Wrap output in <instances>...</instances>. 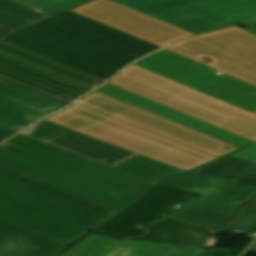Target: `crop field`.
<instances>
[{"mask_svg":"<svg viewBox=\"0 0 256 256\" xmlns=\"http://www.w3.org/2000/svg\"><path fill=\"white\" fill-rule=\"evenodd\" d=\"M118 77L256 134V116L134 65Z\"/></svg>","mask_w":256,"mask_h":256,"instance_id":"obj_10","label":"crop field"},{"mask_svg":"<svg viewBox=\"0 0 256 256\" xmlns=\"http://www.w3.org/2000/svg\"><path fill=\"white\" fill-rule=\"evenodd\" d=\"M250 252H256V246Z\"/></svg>","mask_w":256,"mask_h":256,"instance_id":"obj_37","label":"crop field"},{"mask_svg":"<svg viewBox=\"0 0 256 256\" xmlns=\"http://www.w3.org/2000/svg\"><path fill=\"white\" fill-rule=\"evenodd\" d=\"M200 195L203 194L158 185L94 232L116 239L144 235L146 231L138 230L137 226L162 220L166 214L170 213L169 207L173 204L189 201Z\"/></svg>","mask_w":256,"mask_h":256,"instance_id":"obj_11","label":"crop field"},{"mask_svg":"<svg viewBox=\"0 0 256 256\" xmlns=\"http://www.w3.org/2000/svg\"><path fill=\"white\" fill-rule=\"evenodd\" d=\"M230 156L256 162V144Z\"/></svg>","mask_w":256,"mask_h":256,"instance_id":"obj_31","label":"crop field"},{"mask_svg":"<svg viewBox=\"0 0 256 256\" xmlns=\"http://www.w3.org/2000/svg\"><path fill=\"white\" fill-rule=\"evenodd\" d=\"M196 34L256 19V0H113Z\"/></svg>","mask_w":256,"mask_h":256,"instance_id":"obj_5","label":"crop field"},{"mask_svg":"<svg viewBox=\"0 0 256 256\" xmlns=\"http://www.w3.org/2000/svg\"><path fill=\"white\" fill-rule=\"evenodd\" d=\"M222 180L223 179L189 172L181 177L167 181L163 183V185L210 195L216 192L215 188L221 184Z\"/></svg>","mask_w":256,"mask_h":256,"instance_id":"obj_24","label":"crop field"},{"mask_svg":"<svg viewBox=\"0 0 256 256\" xmlns=\"http://www.w3.org/2000/svg\"><path fill=\"white\" fill-rule=\"evenodd\" d=\"M98 91L115 96L117 98L123 99L128 102H131L135 105L151 110L153 112H156L168 118L174 119L176 121H179L191 127L197 128L199 130H202L204 132H207L209 134H212L214 136L227 140L236 145L247 147L252 144H255L250 140H247L245 138H242L240 136L227 132L223 129H220L218 127H215L213 125L200 121L198 119H195L183 113H180L176 110H173L171 108H168L166 106H163L151 100H148L146 98L133 94L129 91H126L124 89L111 85L109 83H107L103 88L99 89Z\"/></svg>","mask_w":256,"mask_h":256,"instance_id":"obj_16","label":"crop field"},{"mask_svg":"<svg viewBox=\"0 0 256 256\" xmlns=\"http://www.w3.org/2000/svg\"><path fill=\"white\" fill-rule=\"evenodd\" d=\"M77 104L220 158L242 147L207 136L112 97L93 93Z\"/></svg>","mask_w":256,"mask_h":256,"instance_id":"obj_8","label":"crop field"},{"mask_svg":"<svg viewBox=\"0 0 256 256\" xmlns=\"http://www.w3.org/2000/svg\"><path fill=\"white\" fill-rule=\"evenodd\" d=\"M0 10L8 14L14 15L31 23L48 18L34 10L17 4L11 0H0Z\"/></svg>","mask_w":256,"mask_h":256,"instance_id":"obj_26","label":"crop field"},{"mask_svg":"<svg viewBox=\"0 0 256 256\" xmlns=\"http://www.w3.org/2000/svg\"><path fill=\"white\" fill-rule=\"evenodd\" d=\"M21 134L99 161L111 167L137 155L46 120Z\"/></svg>","mask_w":256,"mask_h":256,"instance_id":"obj_14","label":"crop field"},{"mask_svg":"<svg viewBox=\"0 0 256 256\" xmlns=\"http://www.w3.org/2000/svg\"><path fill=\"white\" fill-rule=\"evenodd\" d=\"M139 228L149 230V234L142 238H129L127 240L205 247L211 236L208 229L169 218L163 222H155L152 225Z\"/></svg>","mask_w":256,"mask_h":256,"instance_id":"obj_17","label":"crop field"},{"mask_svg":"<svg viewBox=\"0 0 256 256\" xmlns=\"http://www.w3.org/2000/svg\"><path fill=\"white\" fill-rule=\"evenodd\" d=\"M242 26L246 27L248 31H250L256 35V22L242 25ZM238 27H241V26H238Z\"/></svg>","mask_w":256,"mask_h":256,"instance_id":"obj_34","label":"crop field"},{"mask_svg":"<svg viewBox=\"0 0 256 256\" xmlns=\"http://www.w3.org/2000/svg\"><path fill=\"white\" fill-rule=\"evenodd\" d=\"M0 165L118 211L156 184L23 135L0 148Z\"/></svg>","mask_w":256,"mask_h":256,"instance_id":"obj_3","label":"crop field"},{"mask_svg":"<svg viewBox=\"0 0 256 256\" xmlns=\"http://www.w3.org/2000/svg\"><path fill=\"white\" fill-rule=\"evenodd\" d=\"M11 32L10 30L0 26V37Z\"/></svg>","mask_w":256,"mask_h":256,"instance_id":"obj_35","label":"crop field"},{"mask_svg":"<svg viewBox=\"0 0 256 256\" xmlns=\"http://www.w3.org/2000/svg\"><path fill=\"white\" fill-rule=\"evenodd\" d=\"M172 46L213 62L204 63L173 47L165 49L256 85V36L244 29L235 27L183 40Z\"/></svg>","mask_w":256,"mask_h":256,"instance_id":"obj_7","label":"crop field"},{"mask_svg":"<svg viewBox=\"0 0 256 256\" xmlns=\"http://www.w3.org/2000/svg\"><path fill=\"white\" fill-rule=\"evenodd\" d=\"M10 240L6 239V238H3L0 236V248L2 246H4L5 244H7Z\"/></svg>","mask_w":256,"mask_h":256,"instance_id":"obj_36","label":"crop field"},{"mask_svg":"<svg viewBox=\"0 0 256 256\" xmlns=\"http://www.w3.org/2000/svg\"><path fill=\"white\" fill-rule=\"evenodd\" d=\"M70 11L160 47L196 35L110 0H97Z\"/></svg>","mask_w":256,"mask_h":256,"instance_id":"obj_9","label":"crop field"},{"mask_svg":"<svg viewBox=\"0 0 256 256\" xmlns=\"http://www.w3.org/2000/svg\"><path fill=\"white\" fill-rule=\"evenodd\" d=\"M0 81L64 106L91 89L0 55Z\"/></svg>","mask_w":256,"mask_h":256,"instance_id":"obj_13","label":"crop field"},{"mask_svg":"<svg viewBox=\"0 0 256 256\" xmlns=\"http://www.w3.org/2000/svg\"><path fill=\"white\" fill-rule=\"evenodd\" d=\"M208 248L115 241L91 234L60 256H204Z\"/></svg>","mask_w":256,"mask_h":256,"instance_id":"obj_15","label":"crop field"},{"mask_svg":"<svg viewBox=\"0 0 256 256\" xmlns=\"http://www.w3.org/2000/svg\"><path fill=\"white\" fill-rule=\"evenodd\" d=\"M219 193L209 197H199L191 203H181L179 209L173 207L169 217L222 231L238 202H243L256 192V187L226 181L218 187ZM177 206V205H176Z\"/></svg>","mask_w":256,"mask_h":256,"instance_id":"obj_12","label":"crop field"},{"mask_svg":"<svg viewBox=\"0 0 256 256\" xmlns=\"http://www.w3.org/2000/svg\"><path fill=\"white\" fill-rule=\"evenodd\" d=\"M31 249L32 248L11 241L0 249V256H23Z\"/></svg>","mask_w":256,"mask_h":256,"instance_id":"obj_29","label":"crop field"},{"mask_svg":"<svg viewBox=\"0 0 256 256\" xmlns=\"http://www.w3.org/2000/svg\"><path fill=\"white\" fill-rule=\"evenodd\" d=\"M24 256H51V255H48V254H45L43 252H40V251H37V250L33 249Z\"/></svg>","mask_w":256,"mask_h":256,"instance_id":"obj_33","label":"crop field"},{"mask_svg":"<svg viewBox=\"0 0 256 256\" xmlns=\"http://www.w3.org/2000/svg\"><path fill=\"white\" fill-rule=\"evenodd\" d=\"M109 83L114 84L116 86H119L121 88H124L126 90H129V91H131L133 93H136L138 95H141V96L146 97L148 99H151L153 101H156L158 103H161L163 105H166L168 107H171L173 109H176V110H178L180 112H183L185 114H188L190 116H193L195 118L203 120V121L208 122L210 124H213L215 126H218L220 128H223V129H225L227 131H230L232 133H235V134L240 135L242 137H245L247 139L256 141V135H254V134H251V133H249L247 131L239 129V128H237L235 126H232L230 124H227V123H225L223 121H220V120H218L216 118H213V117L208 116V115H206L204 113L196 111V110H194L192 108H189V107H187L185 105H182V104L177 103V102H175L173 100L165 98V97H163L161 95L153 93V92H151L149 90H146V89H144L142 87L134 85V84H132L130 82H127L125 80H122V79H120L118 77L114 78Z\"/></svg>","mask_w":256,"mask_h":256,"instance_id":"obj_19","label":"crop field"},{"mask_svg":"<svg viewBox=\"0 0 256 256\" xmlns=\"http://www.w3.org/2000/svg\"><path fill=\"white\" fill-rule=\"evenodd\" d=\"M0 106L13 110L15 112L30 116L32 118L40 120L44 116L48 115L46 113L40 112L38 110H35L33 108L27 107L25 105H22L20 103L14 102L12 100H9L7 98L0 96Z\"/></svg>","mask_w":256,"mask_h":256,"instance_id":"obj_28","label":"crop field"},{"mask_svg":"<svg viewBox=\"0 0 256 256\" xmlns=\"http://www.w3.org/2000/svg\"><path fill=\"white\" fill-rule=\"evenodd\" d=\"M37 121L38 120L32 119L30 117H27V116H24L0 107V126L1 127L18 132Z\"/></svg>","mask_w":256,"mask_h":256,"instance_id":"obj_27","label":"crop field"},{"mask_svg":"<svg viewBox=\"0 0 256 256\" xmlns=\"http://www.w3.org/2000/svg\"><path fill=\"white\" fill-rule=\"evenodd\" d=\"M16 132L4 129L0 127V142L4 141L5 139H7L8 137L12 136L13 134H15Z\"/></svg>","mask_w":256,"mask_h":256,"instance_id":"obj_32","label":"crop field"},{"mask_svg":"<svg viewBox=\"0 0 256 256\" xmlns=\"http://www.w3.org/2000/svg\"><path fill=\"white\" fill-rule=\"evenodd\" d=\"M30 23L16 18L14 16L8 15L0 11V25L4 26L12 31L29 25Z\"/></svg>","mask_w":256,"mask_h":256,"instance_id":"obj_30","label":"crop field"},{"mask_svg":"<svg viewBox=\"0 0 256 256\" xmlns=\"http://www.w3.org/2000/svg\"><path fill=\"white\" fill-rule=\"evenodd\" d=\"M253 164L255 163L225 157L192 172L224 179H236L243 174L256 171L255 168L251 167ZM254 167H256V165ZM234 181L256 185V172L244 175L240 179Z\"/></svg>","mask_w":256,"mask_h":256,"instance_id":"obj_20","label":"crop field"},{"mask_svg":"<svg viewBox=\"0 0 256 256\" xmlns=\"http://www.w3.org/2000/svg\"><path fill=\"white\" fill-rule=\"evenodd\" d=\"M113 168L159 183L184 171L137 155Z\"/></svg>","mask_w":256,"mask_h":256,"instance_id":"obj_21","label":"crop field"},{"mask_svg":"<svg viewBox=\"0 0 256 256\" xmlns=\"http://www.w3.org/2000/svg\"><path fill=\"white\" fill-rule=\"evenodd\" d=\"M49 17L88 0H13Z\"/></svg>","mask_w":256,"mask_h":256,"instance_id":"obj_25","label":"crop field"},{"mask_svg":"<svg viewBox=\"0 0 256 256\" xmlns=\"http://www.w3.org/2000/svg\"><path fill=\"white\" fill-rule=\"evenodd\" d=\"M0 52L95 89L103 81L0 40Z\"/></svg>","mask_w":256,"mask_h":256,"instance_id":"obj_18","label":"crop field"},{"mask_svg":"<svg viewBox=\"0 0 256 256\" xmlns=\"http://www.w3.org/2000/svg\"><path fill=\"white\" fill-rule=\"evenodd\" d=\"M46 120L184 171L217 159L77 104Z\"/></svg>","mask_w":256,"mask_h":256,"instance_id":"obj_4","label":"crop field"},{"mask_svg":"<svg viewBox=\"0 0 256 256\" xmlns=\"http://www.w3.org/2000/svg\"><path fill=\"white\" fill-rule=\"evenodd\" d=\"M0 166V235L53 256L116 214Z\"/></svg>","mask_w":256,"mask_h":256,"instance_id":"obj_1","label":"crop field"},{"mask_svg":"<svg viewBox=\"0 0 256 256\" xmlns=\"http://www.w3.org/2000/svg\"><path fill=\"white\" fill-rule=\"evenodd\" d=\"M3 40L103 81L160 48L70 11Z\"/></svg>","mask_w":256,"mask_h":256,"instance_id":"obj_2","label":"crop field"},{"mask_svg":"<svg viewBox=\"0 0 256 256\" xmlns=\"http://www.w3.org/2000/svg\"><path fill=\"white\" fill-rule=\"evenodd\" d=\"M223 232L234 234L256 233V194L238 203Z\"/></svg>","mask_w":256,"mask_h":256,"instance_id":"obj_22","label":"crop field"},{"mask_svg":"<svg viewBox=\"0 0 256 256\" xmlns=\"http://www.w3.org/2000/svg\"><path fill=\"white\" fill-rule=\"evenodd\" d=\"M0 95L25 104L27 106L33 107L40 111L46 112L48 114L64 108V106L62 105L41 98L39 96H36L3 82H0Z\"/></svg>","mask_w":256,"mask_h":256,"instance_id":"obj_23","label":"crop field"},{"mask_svg":"<svg viewBox=\"0 0 256 256\" xmlns=\"http://www.w3.org/2000/svg\"><path fill=\"white\" fill-rule=\"evenodd\" d=\"M134 65L250 113L256 111V86L224 73L219 76L215 74L219 71L165 49Z\"/></svg>","mask_w":256,"mask_h":256,"instance_id":"obj_6","label":"crop field"}]
</instances>
